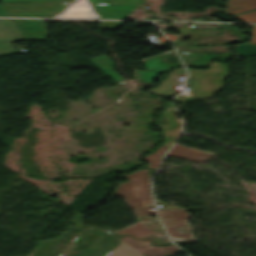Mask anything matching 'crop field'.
<instances>
[{
    "label": "crop field",
    "mask_w": 256,
    "mask_h": 256,
    "mask_svg": "<svg viewBox=\"0 0 256 256\" xmlns=\"http://www.w3.org/2000/svg\"><path fill=\"white\" fill-rule=\"evenodd\" d=\"M16 53L9 41L0 43V56Z\"/></svg>",
    "instance_id": "23"
},
{
    "label": "crop field",
    "mask_w": 256,
    "mask_h": 256,
    "mask_svg": "<svg viewBox=\"0 0 256 256\" xmlns=\"http://www.w3.org/2000/svg\"><path fill=\"white\" fill-rule=\"evenodd\" d=\"M146 0H88L100 18L125 19L135 8H143Z\"/></svg>",
    "instance_id": "6"
},
{
    "label": "crop field",
    "mask_w": 256,
    "mask_h": 256,
    "mask_svg": "<svg viewBox=\"0 0 256 256\" xmlns=\"http://www.w3.org/2000/svg\"><path fill=\"white\" fill-rule=\"evenodd\" d=\"M125 243L133 246L134 248L140 250L147 256H162L173 251L179 250L173 245L166 246V247H153L150 246V240H134L129 236L121 238Z\"/></svg>",
    "instance_id": "10"
},
{
    "label": "crop field",
    "mask_w": 256,
    "mask_h": 256,
    "mask_svg": "<svg viewBox=\"0 0 256 256\" xmlns=\"http://www.w3.org/2000/svg\"><path fill=\"white\" fill-rule=\"evenodd\" d=\"M235 18L242 22L256 23V11L247 12L245 14L235 16Z\"/></svg>",
    "instance_id": "22"
},
{
    "label": "crop field",
    "mask_w": 256,
    "mask_h": 256,
    "mask_svg": "<svg viewBox=\"0 0 256 256\" xmlns=\"http://www.w3.org/2000/svg\"><path fill=\"white\" fill-rule=\"evenodd\" d=\"M211 70L188 69L190 72L192 97H176L175 101L209 99L221 89L222 75L226 74L224 64L212 62Z\"/></svg>",
    "instance_id": "2"
},
{
    "label": "crop field",
    "mask_w": 256,
    "mask_h": 256,
    "mask_svg": "<svg viewBox=\"0 0 256 256\" xmlns=\"http://www.w3.org/2000/svg\"><path fill=\"white\" fill-rule=\"evenodd\" d=\"M25 38L28 40L45 39V20L15 19Z\"/></svg>",
    "instance_id": "9"
},
{
    "label": "crop field",
    "mask_w": 256,
    "mask_h": 256,
    "mask_svg": "<svg viewBox=\"0 0 256 256\" xmlns=\"http://www.w3.org/2000/svg\"><path fill=\"white\" fill-rule=\"evenodd\" d=\"M158 213L171 238L194 242L190 233L181 234L175 228L186 225L183 220L189 217L186 210L166 209Z\"/></svg>",
    "instance_id": "7"
},
{
    "label": "crop field",
    "mask_w": 256,
    "mask_h": 256,
    "mask_svg": "<svg viewBox=\"0 0 256 256\" xmlns=\"http://www.w3.org/2000/svg\"><path fill=\"white\" fill-rule=\"evenodd\" d=\"M0 16H9V14L7 13L6 9L2 4H0Z\"/></svg>",
    "instance_id": "26"
},
{
    "label": "crop field",
    "mask_w": 256,
    "mask_h": 256,
    "mask_svg": "<svg viewBox=\"0 0 256 256\" xmlns=\"http://www.w3.org/2000/svg\"><path fill=\"white\" fill-rule=\"evenodd\" d=\"M12 17H53L74 0H1ZM27 2L35 4H8Z\"/></svg>",
    "instance_id": "4"
},
{
    "label": "crop field",
    "mask_w": 256,
    "mask_h": 256,
    "mask_svg": "<svg viewBox=\"0 0 256 256\" xmlns=\"http://www.w3.org/2000/svg\"><path fill=\"white\" fill-rule=\"evenodd\" d=\"M175 148H179V149H183V150H187V151H190V152H194V153H198V154H202L204 155L206 152H200V151H194L192 149H189V148H186V147H183V146H180V145H177L175 144L174 146Z\"/></svg>",
    "instance_id": "25"
},
{
    "label": "crop field",
    "mask_w": 256,
    "mask_h": 256,
    "mask_svg": "<svg viewBox=\"0 0 256 256\" xmlns=\"http://www.w3.org/2000/svg\"><path fill=\"white\" fill-rule=\"evenodd\" d=\"M167 148L168 147L166 146H161L155 152L143 158L144 160H148L150 162V165L148 167L156 169Z\"/></svg>",
    "instance_id": "20"
},
{
    "label": "crop field",
    "mask_w": 256,
    "mask_h": 256,
    "mask_svg": "<svg viewBox=\"0 0 256 256\" xmlns=\"http://www.w3.org/2000/svg\"><path fill=\"white\" fill-rule=\"evenodd\" d=\"M167 154L177 156V157H181V158H185V159L192 160V161H196V162H200V163H202L206 159H208V157L198 155V154H194V153H190V152L183 151V150H179V149H175V148L170 150Z\"/></svg>",
    "instance_id": "19"
},
{
    "label": "crop field",
    "mask_w": 256,
    "mask_h": 256,
    "mask_svg": "<svg viewBox=\"0 0 256 256\" xmlns=\"http://www.w3.org/2000/svg\"><path fill=\"white\" fill-rule=\"evenodd\" d=\"M120 241L104 230L86 229L60 256H107Z\"/></svg>",
    "instance_id": "1"
},
{
    "label": "crop field",
    "mask_w": 256,
    "mask_h": 256,
    "mask_svg": "<svg viewBox=\"0 0 256 256\" xmlns=\"http://www.w3.org/2000/svg\"><path fill=\"white\" fill-rule=\"evenodd\" d=\"M121 23L122 22L100 21V29H113Z\"/></svg>",
    "instance_id": "24"
},
{
    "label": "crop field",
    "mask_w": 256,
    "mask_h": 256,
    "mask_svg": "<svg viewBox=\"0 0 256 256\" xmlns=\"http://www.w3.org/2000/svg\"><path fill=\"white\" fill-rule=\"evenodd\" d=\"M58 17H78V18H99L92 10L87 0H77L67 11Z\"/></svg>",
    "instance_id": "11"
},
{
    "label": "crop field",
    "mask_w": 256,
    "mask_h": 256,
    "mask_svg": "<svg viewBox=\"0 0 256 256\" xmlns=\"http://www.w3.org/2000/svg\"><path fill=\"white\" fill-rule=\"evenodd\" d=\"M108 256H143L140 251L125 244L123 241Z\"/></svg>",
    "instance_id": "18"
},
{
    "label": "crop field",
    "mask_w": 256,
    "mask_h": 256,
    "mask_svg": "<svg viewBox=\"0 0 256 256\" xmlns=\"http://www.w3.org/2000/svg\"><path fill=\"white\" fill-rule=\"evenodd\" d=\"M237 56L256 55V45L242 43L235 46Z\"/></svg>",
    "instance_id": "21"
},
{
    "label": "crop field",
    "mask_w": 256,
    "mask_h": 256,
    "mask_svg": "<svg viewBox=\"0 0 256 256\" xmlns=\"http://www.w3.org/2000/svg\"><path fill=\"white\" fill-rule=\"evenodd\" d=\"M124 176L129 178V182L119 184L115 195H123L138 216L155 215V211H148L144 205L145 201L151 200L148 170H139Z\"/></svg>",
    "instance_id": "3"
},
{
    "label": "crop field",
    "mask_w": 256,
    "mask_h": 256,
    "mask_svg": "<svg viewBox=\"0 0 256 256\" xmlns=\"http://www.w3.org/2000/svg\"><path fill=\"white\" fill-rule=\"evenodd\" d=\"M176 111L172 103H168V108L163 110V118L167 120V125H160L159 127L162 128L164 137L166 142L164 145L170 146L175 141L176 137L179 134L180 127H181V120L176 119Z\"/></svg>",
    "instance_id": "8"
},
{
    "label": "crop field",
    "mask_w": 256,
    "mask_h": 256,
    "mask_svg": "<svg viewBox=\"0 0 256 256\" xmlns=\"http://www.w3.org/2000/svg\"><path fill=\"white\" fill-rule=\"evenodd\" d=\"M252 9H256V0H228L225 12L234 15Z\"/></svg>",
    "instance_id": "15"
},
{
    "label": "crop field",
    "mask_w": 256,
    "mask_h": 256,
    "mask_svg": "<svg viewBox=\"0 0 256 256\" xmlns=\"http://www.w3.org/2000/svg\"><path fill=\"white\" fill-rule=\"evenodd\" d=\"M185 65L205 67L216 54L180 53Z\"/></svg>",
    "instance_id": "14"
},
{
    "label": "crop field",
    "mask_w": 256,
    "mask_h": 256,
    "mask_svg": "<svg viewBox=\"0 0 256 256\" xmlns=\"http://www.w3.org/2000/svg\"><path fill=\"white\" fill-rule=\"evenodd\" d=\"M252 35L253 37L250 42L256 44V26H253Z\"/></svg>",
    "instance_id": "27"
},
{
    "label": "crop field",
    "mask_w": 256,
    "mask_h": 256,
    "mask_svg": "<svg viewBox=\"0 0 256 256\" xmlns=\"http://www.w3.org/2000/svg\"><path fill=\"white\" fill-rule=\"evenodd\" d=\"M23 38L13 19H0V42Z\"/></svg>",
    "instance_id": "12"
},
{
    "label": "crop field",
    "mask_w": 256,
    "mask_h": 256,
    "mask_svg": "<svg viewBox=\"0 0 256 256\" xmlns=\"http://www.w3.org/2000/svg\"><path fill=\"white\" fill-rule=\"evenodd\" d=\"M105 56L102 55V56L90 58V60L94 62L100 69H102L108 76H110L116 83L124 82L125 80L112 69V65L114 63L111 62Z\"/></svg>",
    "instance_id": "16"
},
{
    "label": "crop field",
    "mask_w": 256,
    "mask_h": 256,
    "mask_svg": "<svg viewBox=\"0 0 256 256\" xmlns=\"http://www.w3.org/2000/svg\"><path fill=\"white\" fill-rule=\"evenodd\" d=\"M185 73L183 69H176L173 72H171L166 79L161 80V85L158 88L149 91L161 94L165 97L171 96L173 95V85L178 75H186Z\"/></svg>",
    "instance_id": "13"
},
{
    "label": "crop field",
    "mask_w": 256,
    "mask_h": 256,
    "mask_svg": "<svg viewBox=\"0 0 256 256\" xmlns=\"http://www.w3.org/2000/svg\"><path fill=\"white\" fill-rule=\"evenodd\" d=\"M117 233H127L136 238H143V237L150 235L154 232L139 222V223H136V224H134L128 228H125Z\"/></svg>",
    "instance_id": "17"
},
{
    "label": "crop field",
    "mask_w": 256,
    "mask_h": 256,
    "mask_svg": "<svg viewBox=\"0 0 256 256\" xmlns=\"http://www.w3.org/2000/svg\"><path fill=\"white\" fill-rule=\"evenodd\" d=\"M147 71L133 70L134 80L155 82L157 75L169 71V67H181V63L174 51L149 57L142 60Z\"/></svg>",
    "instance_id": "5"
}]
</instances>
